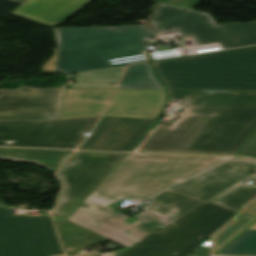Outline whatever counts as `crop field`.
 <instances>
[{
	"mask_svg": "<svg viewBox=\"0 0 256 256\" xmlns=\"http://www.w3.org/2000/svg\"><path fill=\"white\" fill-rule=\"evenodd\" d=\"M226 158L128 153L67 220L130 249L121 256H188L204 243L201 237L210 238L237 215L204 201L252 173L255 160L232 158L166 190L132 224L107 206L144 200ZM160 225L165 227L153 230Z\"/></svg>",
	"mask_w": 256,
	"mask_h": 256,
	"instance_id": "1",
	"label": "crop field"
},
{
	"mask_svg": "<svg viewBox=\"0 0 256 256\" xmlns=\"http://www.w3.org/2000/svg\"><path fill=\"white\" fill-rule=\"evenodd\" d=\"M167 91L188 111L139 150L234 155L256 129V91Z\"/></svg>",
	"mask_w": 256,
	"mask_h": 256,
	"instance_id": "2",
	"label": "crop field"
},
{
	"mask_svg": "<svg viewBox=\"0 0 256 256\" xmlns=\"http://www.w3.org/2000/svg\"><path fill=\"white\" fill-rule=\"evenodd\" d=\"M182 10L156 3L145 26L52 28L58 49L53 50L55 55L42 66V74L55 71L65 74L140 62L142 60L110 65L107 59L143 54V41Z\"/></svg>",
	"mask_w": 256,
	"mask_h": 256,
	"instance_id": "3",
	"label": "crop field"
},
{
	"mask_svg": "<svg viewBox=\"0 0 256 256\" xmlns=\"http://www.w3.org/2000/svg\"><path fill=\"white\" fill-rule=\"evenodd\" d=\"M152 64L166 89H256V46Z\"/></svg>",
	"mask_w": 256,
	"mask_h": 256,
	"instance_id": "4",
	"label": "crop field"
},
{
	"mask_svg": "<svg viewBox=\"0 0 256 256\" xmlns=\"http://www.w3.org/2000/svg\"><path fill=\"white\" fill-rule=\"evenodd\" d=\"M62 253L51 216H12L0 208V256H52Z\"/></svg>",
	"mask_w": 256,
	"mask_h": 256,
	"instance_id": "5",
	"label": "crop field"
},
{
	"mask_svg": "<svg viewBox=\"0 0 256 256\" xmlns=\"http://www.w3.org/2000/svg\"><path fill=\"white\" fill-rule=\"evenodd\" d=\"M99 118L43 123L0 122V146L75 149Z\"/></svg>",
	"mask_w": 256,
	"mask_h": 256,
	"instance_id": "6",
	"label": "crop field"
},
{
	"mask_svg": "<svg viewBox=\"0 0 256 256\" xmlns=\"http://www.w3.org/2000/svg\"><path fill=\"white\" fill-rule=\"evenodd\" d=\"M123 154L114 152H75L70 158L71 161H75L74 164H65L57 173V177L64 185V188L60 194L58 206L53 213L63 218L67 217Z\"/></svg>",
	"mask_w": 256,
	"mask_h": 256,
	"instance_id": "7",
	"label": "crop field"
},
{
	"mask_svg": "<svg viewBox=\"0 0 256 256\" xmlns=\"http://www.w3.org/2000/svg\"><path fill=\"white\" fill-rule=\"evenodd\" d=\"M169 32L180 33L183 38L193 36L198 45L219 42L223 49L256 44V23L218 25L210 14L188 9L150 38ZM147 46H153L149 39L145 50Z\"/></svg>",
	"mask_w": 256,
	"mask_h": 256,
	"instance_id": "8",
	"label": "crop field"
},
{
	"mask_svg": "<svg viewBox=\"0 0 256 256\" xmlns=\"http://www.w3.org/2000/svg\"><path fill=\"white\" fill-rule=\"evenodd\" d=\"M66 86L59 89L21 86L0 89V121L43 122L59 120Z\"/></svg>",
	"mask_w": 256,
	"mask_h": 256,
	"instance_id": "9",
	"label": "crop field"
},
{
	"mask_svg": "<svg viewBox=\"0 0 256 256\" xmlns=\"http://www.w3.org/2000/svg\"><path fill=\"white\" fill-rule=\"evenodd\" d=\"M154 122L151 120L102 117L94 133L79 148L127 151Z\"/></svg>",
	"mask_w": 256,
	"mask_h": 256,
	"instance_id": "10",
	"label": "crop field"
},
{
	"mask_svg": "<svg viewBox=\"0 0 256 256\" xmlns=\"http://www.w3.org/2000/svg\"><path fill=\"white\" fill-rule=\"evenodd\" d=\"M165 103L164 90H116L103 116L157 120Z\"/></svg>",
	"mask_w": 256,
	"mask_h": 256,
	"instance_id": "11",
	"label": "crop field"
},
{
	"mask_svg": "<svg viewBox=\"0 0 256 256\" xmlns=\"http://www.w3.org/2000/svg\"><path fill=\"white\" fill-rule=\"evenodd\" d=\"M92 0H27L11 14L53 27Z\"/></svg>",
	"mask_w": 256,
	"mask_h": 256,
	"instance_id": "12",
	"label": "crop field"
},
{
	"mask_svg": "<svg viewBox=\"0 0 256 256\" xmlns=\"http://www.w3.org/2000/svg\"><path fill=\"white\" fill-rule=\"evenodd\" d=\"M248 180L256 182L255 174L248 175L206 202L239 213L256 198V184H245Z\"/></svg>",
	"mask_w": 256,
	"mask_h": 256,
	"instance_id": "13",
	"label": "crop field"
},
{
	"mask_svg": "<svg viewBox=\"0 0 256 256\" xmlns=\"http://www.w3.org/2000/svg\"><path fill=\"white\" fill-rule=\"evenodd\" d=\"M72 151L29 150L0 148V158L38 164L46 169H57Z\"/></svg>",
	"mask_w": 256,
	"mask_h": 256,
	"instance_id": "14",
	"label": "crop field"
},
{
	"mask_svg": "<svg viewBox=\"0 0 256 256\" xmlns=\"http://www.w3.org/2000/svg\"><path fill=\"white\" fill-rule=\"evenodd\" d=\"M66 250L71 251L104 241H108L82 227H79L67 220L58 223Z\"/></svg>",
	"mask_w": 256,
	"mask_h": 256,
	"instance_id": "15",
	"label": "crop field"
},
{
	"mask_svg": "<svg viewBox=\"0 0 256 256\" xmlns=\"http://www.w3.org/2000/svg\"><path fill=\"white\" fill-rule=\"evenodd\" d=\"M118 89H163L147 63L129 65Z\"/></svg>",
	"mask_w": 256,
	"mask_h": 256,
	"instance_id": "16",
	"label": "crop field"
},
{
	"mask_svg": "<svg viewBox=\"0 0 256 256\" xmlns=\"http://www.w3.org/2000/svg\"><path fill=\"white\" fill-rule=\"evenodd\" d=\"M256 218L240 214L214 236L213 251L216 253L250 226Z\"/></svg>",
	"mask_w": 256,
	"mask_h": 256,
	"instance_id": "17",
	"label": "crop field"
},
{
	"mask_svg": "<svg viewBox=\"0 0 256 256\" xmlns=\"http://www.w3.org/2000/svg\"><path fill=\"white\" fill-rule=\"evenodd\" d=\"M219 254L256 256V223Z\"/></svg>",
	"mask_w": 256,
	"mask_h": 256,
	"instance_id": "18",
	"label": "crop field"
},
{
	"mask_svg": "<svg viewBox=\"0 0 256 256\" xmlns=\"http://www.w3.org/2000/svg\"><path fill=\"white\" fill-rule=\"evenodd\" d=\"M107 103H64L60 120L101 116Z\"/></svg>",
	"mask_w": 256,
	"mask_h": 256,
	"instance_id": "19",
	"label": "crop field"
},
{
	"mask_svg": "<svg viewBox=\"0 0 256 256\" xmlns=\"http://www.w3.org/2000/svg\"><path fill=\"white\" fill-rule=\"evenodd\" d=\"M126 66L77 73V83L118 84Z\"/></svg>",
	"mask_w": 256,
	"mask_h": 256,
	"instance_id": "20",
	"label": "crop field"
},
{
	"mask_svg": "<svg viewBox=\"0 0 256 256\" xmlns=\"http://www.w3.org/2000/svg\"><path fill=\"white\" fill-rule=\"evenodd\" d=\"M114 89H67L64 101L108 102Z\"/></svg>",
	"mask_w": 256,
	"mask_h": 256,
	"instance_id": "21",
	"label": "crop field"
},
{
	"mask_svg": "<svg viewBox=\"0 0 256 256\" xmlns=\"http://www.w3.org/2000/svg\"><path fill=\"white\" fill-rule=\"evenodd\" d=\"M235 155H250L256 157V131L249 137Z\"/></svg>",
	"mask_w": 256,
	"mask_h": 256,
	"instance_id": "22",
	"label": "crop field"
},
{
	"mask_svg": "<svg viewBox=\"0 0 256 256\" xmlns=\"http://www.w3.org/2000/svg\"><path fill=\"white\" fill-rule=\"evenodd\" d=\"M149 1H154L158 3H163V4H168V5H173V6L183 7V8H186L191 3V0H149ZM201 1L202 0H193V3L188 8L195 10V8L201 3Z\"/></svg>",
	"mask_w": 256,
	"mask_h": 256,
	"instance_id": "23",
	"label": "crop field"
},
{
	"mask_svg": "<svg viewBox=\"0 0 256 256\" xmlns=\"http://www.w3.org/2000/svg\"><path fill=\"white\" fill-rule=\"evenodd\" d=\"M211 238L200 246L191 256H210Z\"/></svg>",
	"mask_w": 256,
	"mask_h": 256,
	"instance_id": "24",
	"label": "crop field"
},
{
	"mask_svg": "<svg viewBox=\"0 0 256 256\" xmlns=\"http://www.w3.org/2000/svg\"><path fill=\"white\" fill-rule=\"evenodd\" d=\"M242 214L256 217V201L251 206H249L245 211H243Z\"/></svg>",
	"mask_w": 256,
	"mask_h": 256,
	"instance_id": "25",
	"label": "crop field"
},
{
	"mask_svg": "<svg viewBox=\"0 0 256 256\" xmlns=\"http://www.w3.org/2000/svg\"><path fill=\"white\" fill-rule=\"evenodd\" d=\"M116 86L71 85V88H115Z\"/></svg>",
	"mask_w": 256,
	"mask_h": 256,
	"instance_id": "26",
	"label": "crop field"
},
{
	"mask_svg": "<svg viewBox=\"0 0 256 256\" xmlns=\"http://www.w3.org/2000/svg\"><path fill=\"white\" fill-rule=\"evenodd\" d=\"M158 125V123H156L153 128L142 138V140L134 147V149L132 151H135L136 148L147 138V136L156 128V126Z\"/></svg>",
	"mask_w": 256,
	"mask_h": 256,
	"instance_id": "27",
	"label": "crop field"
},
{
	"mask_svg": "<svg viewBox=\"0 0 256 256\" xmlns=\"http://www.w3.org/2000/svg\"><path fill=\"white\" fill-rule=\"evenodd\" d=\"M4 1L21 5V4L24 3L26 0H4Z\"/></svg>",
	"mask_w": 256,
	"mask_h": 256,
	"instance_id": "28",
	"label": "crop field"
},
{
	"mask_svg": "<svg viewBox=\"0 0 256 256\" xmlns=\"http://www.w3.org/2000/svg\"><path fill=\"white\" fill-rule=\"evenodd\" d=\"M184 10H185V9H184ZM184 10L182 11V13L184 12ZM165 23H166V22H165ZM165 23H163L162 26H163ZM162 26H161V27H162ZM161 27H160V28H161ZM160 28H159V29H160ZM155 33H156V32H155ZM155 33H154V34H155ZM152 35H153V34H152ZM152 35H151V36H152ZM144 42H145V41H144ZM143 46H144V43H143Z\"/></svg>",
	"mask_w": 256,
	"mask_h": 256,
	"instance_id": "29",
	"label": "crop field"
},
{
	"mask_svg": "<svg viewBox=\"0 0 256 256\" xmlns=\"http://www.w3.org/2000/svg\"><path fill=\"white\" fill-rule=\"evenodd\" d=\"M212 256H228V255H212Z\"/></svg>",
	"mask_w": 256,
	"mask_h": 256,
	"instance_id": "30",
	"label": "crop field"
},
{
	"mask_svg": "<svg viewBox=\"0 0 256 256\" xmlns=\"http://www.w3.org/2000/svg\"><path fill=\"white\" fill-rule=\"evenodd\" d=\"M1 206H6V205L0 204V207H1Z\"/></svg>",
	"mask_w": 256,
	"mask_h": 256,
	"instance_id": "31",
	"label": "crop field"
}]
</instances>
